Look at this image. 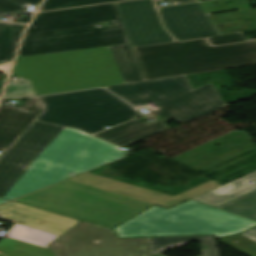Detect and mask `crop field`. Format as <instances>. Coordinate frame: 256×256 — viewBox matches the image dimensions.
Here are the masks:
<instances>
[{
  "label": "crop field",
  "mask_w": 256,
  "mask_h": 256,
  "mask_svg": "<svg viewBox=\"0 0 256 256\" xmlns=\"http://www.w3.org/2000/svg\"><path fill=\"white\" fill-rule=\"evenodd\" d=\"M132 106L153 102L163 121L184 123L207 113L227 107L211 84L191 91L184 75L107 86Z\"/></svg>",
  "instance_id": "obj_6"
},
{
  "label": "crop field",
  "mask_w": 256,
  "mask_h": 256,
  "mask_svg": "<svg viewBox=\"0 0 256 256\" xmlns=\"http://www.w3.org/2000/svg\"><path fill=\"white\" fill-rule=\"evenodd\" d=\"M109 48L125 83L144 80L130 44Z\"/></svg>",
  "instance_id": "obj_16"
},
{
  "label": "crop field",
  "mask_w": 256,
  "mask_h": 256,
  "mask_svg": "<svg viewBox=\"0 0 256 256\" xmlns=\"http://www.w3.org/2000/svg\"><path fill=\"white\" fill-rule=\"evenodd\" d=\"M165 129H167V126L162 121H157L146 125L135 119L127 124L109 129L94 136L104 139L117 146H124Z\"/></svg>",
  "instance_id": "obj_12"
},
{
  "label": "crop field",
  "mask_w": 256,
  "mask_h": 256,
  "mask_svg": "<svg viewBox=\"0 0 256 256\" xmlns=\"http://www.w3.org/2000/svg\"><path fill=\"white\" fill-rule=\"evenodd\" d=\"M48 247L55 256H150L145 238L117 239L113 229L86 221Z\"/></svg>",
  "instance_id": "obj_8"
},
{
  "label": "crop field",
  "mask_w": 256,
  "mask_h": 256,
  "mask_svg": "<svg viewBox=\"0 0 256 256\" xmlns=\"http://www.w3.org/2000/svg\"><path fill=\"white\" fill-rule=\"evenodd\" d=\"M220 35L256 30V9L208 16ZM246 19L250 24H245Z\"/></svg>",
  "instance_id": "obj_14"
},
{
  "label": "crop field",
  "mask_w": 256,
  "mask_h": 256,
  "mask_svg": "<svg viewBox=\"0 0 256 256\" xmlns=\"http://www.w3.org/2000/svg\"><path fill=\"white\" fill-rule=\"evenodd\" d=\"M36 95L30 82L25 79L18 78V82L8 84L3 98L24 97Z\"/></svg>",
  "instance_id": "obj_21"
},
{
  "label": "crop field",
  "mask_w": 256,
  "mask_h": 256,
  "mask_svg": "<svg viewBox=\"0 0 256 256\" xmlns=\"http://www.w3.org/2000/svg\"><path fill=\"white\" fill-rule=\"evenodd\" d=\"M42 111L37 97L27 98L23 108L0 105V151H5Z\"/></svg>",
  "instance_id": "obj_11"
},
{
  "label": "crop field",
  "mask_w": 256,
  "mask_h": 256,
  "mask_svg": "<svg viewBox=\"0 0 256 256\" xmlns=\"http://www.w3.org/2000/svg\"><path fill=\"white\" fill-rule=\"evenodd\" d=\"M256 222L188 201L172 209L153 206L134 219L114 228L119 238L214 234H238Z\"/></svg>",
  "instance_id": "obj_5"
},
{
  "label": "crop field",
  "mask_w": 256,
  "mask_h": 256,
  "mask_svg": "<svg viewBox=\"0 0 256 256\" xmlns=\"http://www.w3.org/2000/svg\"><path fill=\"white\" fill-rule=\"evenodd\" d=\"M212 45L226 44V43H235L246 41L245 37L241 33L210 37L208 38Z\"/></svg>",
  "instance_id": "obj_23"
},
{
  "label": "crop field",
  "mask_w": 256,
  "mask_h": 256,
  "mask_svg": "<svg viewBox=\"0 0 256 256\" xmlns=\"http://www.w3.org/2000/svg\"><path fill=\"white\" fill-rule=\"evenodd\" d=\"M112 1L116 0H46L43 3L40 11L98 4Z\"/></svg>",
  "instance_id": "obj_19"
},
{
  "label": "crop field",
  "mask_w": 256,
  "mask_h": 256,
  "mask_svg": "<svg viewBox=\"0 0 256 256\" xmlns=\"http://www.w3.org/2000/svg\"><path fill=\"white\" fill-rule=\"evenodd\" d=\"M256 228V227H255Z\"/></svg>",
  "instance_id": "obj_29"
},
{
  "label": "crop field",
  "mask_w": 256,
  "mask_h": 256,
  "mask_svg": "<svg viewBox=\"0 0 256 256\" xmlns=\"http://www.w3.org/2000/svg\"><path fill=\"white\" fill-rule=\"evenodd\" d=\"M11 74L37 95L124 83L108 47L19 58Z\"/></svg>",
  "instance_id": "obj_3"
},
{
  "label": "crop field",
  "mask_w": 256,
  "mask_h": 256,
  "mask_svg": "<svg viewBox=\"0 0 256 256\" xmlns=\"http://www.w3.org/2000/svg\"><path fill=\"white\" fill-rule=\"evenodd\" d=\"M12 62V61H11ZM11 62L4 64V65H0V70L5 71L8 73L10 66H11Z\"/></svg>",
  "instance_id": "obj_26"
},
{
  "label": "crop field",
  "mask_w": 256,
  "mask_h": 256,
  "mask_svg": "<svg viewBox=\"0 0 256 256\" xmlns=\"http://www.w3.org/2000/svg\"><path fill=\"white\" fill-rule=\"evenodd\" d=\"M133 47L175 41L162 27L152 0L116 3Z\"/></svg>",
  "instance_id": "obj_9"
},
{
  "label": "crop field",
  "mask_w": 256,
  "mask_h": 256,
  "mask_svg": "<svg viewBox=\"0 0 256 256\" xmlns=\"http://www.w3.org/2000/svg\"><path fill=\"white\" fill-rule=\"evenodd\" d=\"M217 208L256 221V191Z\"/></svg>",
  "instance_id": "obj_18"
},
{
  "label": "crop field",
  "mask_w": 256,
  "mask_h": 256,
  "mask_svg": "<svg viewBox=\"0 0 256 256\" xmlns=\"http://www.w3.org/2000/svg\"><path fill=\"white\" fill-rule=\"evenodd\" d=\"M25 26L0 22V64L13 60Z\"/></svg>",
  "instance_id": "obj_17"
},
{
  "label": "crop field",
  "mask_w": 256,
  "mask_h": 256,
  "mask_svg": "<svg viewBox=\"0 0 256 256\" xmlns=\"http://www.w3.org/2000/svg\"><path fill=\"white\" fill-rule=\"evenodd\" d=\"M251 180L256 182V171L198 196L193 200L216 207L220 204L256 190V183H247Z\"/></svg>",
  "instance_id": "obj_13"
},
{
  "label": "crop field",
  "mask_w": 256,
  "mask_h": 256,
  "mask_svg": "<svg viewBox=\"0 0 256 256\" xmlns=\"http://www.w3.org/2000/svg\"><path fill=\"white\" fill-rule=\"evenodd\" d=\"M242 235H245V236H247V237L256 241V229H254V228L245 232V233H243Z\"/></svg>",
  "instance_id": "obj_24"
},
{
  "label": "crop field",
  "mask_w": 256,
  "mask_h": 256,
  "mask_svg": "<svg viewBox=\"0 0 256 256\" xmlns=\"http://www.w3.org/2000/svg\"><path fill=\"white\" fill-rule=\"evenodd\" d=\"M111 20L113 26L97 28ZM129 43L115 4L38 13L28 28L18 57Z\"/></svg>",
  "instance_id": "obj_2"
},
{
  "label": "crop field",
  "mask_w": 256,
  "mask_h": 256,
  "mask_svg": "<svg viewBox=\"0 0 256 256\" xmlns=\"http://www.w3.org/2000/svg\"><path fill=\"white\" fill-rule=\"evenodd\" d=\"M171 5L175 4H182V3H188V2H195L197 0H169Z\"/></svg>",
  "instance_id": "obj_25"
},
{
  "label": "crop field",
  "mask_w": 256,
  "mask_h": 256,
  "mask_svg": "<svg viewBox=\"0 0 256 256\" xmlns=\"http://www.w3.org/2000/svg\"><path fill=\"white\" fill-rule=\"evenodd\" d=\"M160 15L179 41L219 35L199 3L162 8Z\"/></svg>",
  "instance_id": "obj_10"
},
{
  "label": "crop field",
  "mask_w": 256,
  "mask_h": 256,
  "mask_svg": "<svg viewBox=\"0 0 256 256\" xmlns=\"http://www.w3.org/2000/svg\"><path fill=\"white\" fill-rule=\"evenodd\" d=\"M44 111L35 119L89 134L139 116L140 112L104 89L39 97Z\"/></svg>",
  "instance_id": "obj_7"
},
{
  "label": "crop field",
  "mask_w": 256,
  "mask_h": 256,
  "mask_svg": "<svg viewBox=\"0 0 256 256\" xmlns=\"http://www.w3.org/2000/svg\"><path fill=\"white\" fill-rule=\"evenodd\" d=\"M145 80L256 64V41L209 47L206 40L133 48Z\"/></svg>",
  "instance_id": "obj_4"
},
{
  "label": "crop field",
  "mask_w": 256,
  "mask_h": 256,
  "mask_svg": "<svg viewBox=\"0 0 256 256\" xmlns=\"http://www.w3.org/2000/svg\"><path fill=\"white\" fill-rule=\"evenodd\" d=\"M7 201H9V200L0 199V204L7 202Z\"/></svg>",
  "instance_id": "obj_28"
},
{
  "label": "crop field",
  "mask_w": 256,
  "mask_h": 256,
  "mask_svg": "<svg viewBox=\"0 0 256 256\" xmlns=\"http://www.w3.org/2000/svg\"><path fill=\"white\" fill-rule=\"evenodd\" d=\"M219 241L249 256H256V243L241 235L220 239Z\"/></svg>",
  "instance_id": "obj_22"
},
{
  "label": "crop field",
  "mask_w": 256,
  "mask_h": 256,
  "mask_svg": "<svg viewBox=\"0 0 256 256\" xmlns=\"http://www.w3.org/2000/svg\"><path fill=\"white\" fill-rule=\"evenodd\" d=\"M118 150L81 130L33 121L0 156V198L17 199L125 156Z\"/></svg>",
  "instance_id": "obj_1"
},
{
  "label": "crop field",
  "mask_w": 256,
  "mask_h": 256,
  "mask_svg": "<svg viewBox=\"0 0 256 256\" xmlns=\"http://www.w3.org/2000/svg\"><path fill=\"white\" fill-rule=\"evenodd\" d=\"M42 0H0V18L27 10L29 5L39 6Z\"/></svg>",
  "instance_id": "obj_20"
},
{
  "label": "crop field",
  "mask_w": 256,
  "mask_h": 256,
  "mask_svg": "<svg viewBox=\"0 0 256 256\" xmlns=\"http://www.w3.org/2000/svg\"><path fill=\"white\" fill-rule=\"evenodd\" d=\"M147 239L152 254L181 246L189 241H197L201 244L203 255L196 256H219L214 236L159 237Z\"/></svg>",
  "instance_id": "obj_15"
},
{
  "label": "crop field",
  "mask_w": 256,
  "mask_h": 256,
  "mask_svg": "<svg viewBox=\"0 0 256 256\" xmlns=\"http://www.w3.org/2000/svg\"><path fill=\"white\" fill-rule=\"evenodd\" d=\"M4 82H5V81L0 80V94H1V92H2Z\"/></svg>",
  "instance_id": "obj_27"
}]
</instances>
